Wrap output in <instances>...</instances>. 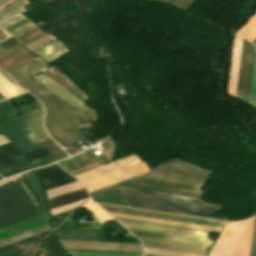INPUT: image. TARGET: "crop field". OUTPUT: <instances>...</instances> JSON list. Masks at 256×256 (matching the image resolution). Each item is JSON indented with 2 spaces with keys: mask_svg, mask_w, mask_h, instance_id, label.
Returning <instances> with one entry per match:
<instances>
[{
  "mask_svg": "<svg viewBox=\"0 0 256 256\" xmlns=\"http://www.w3.org/2000/svg\"><path fill=\"white\" fill-rule=\"evenodd\" d=\"M93 202L90 200L83 207H85L88 211H90L99 222H105L112 220L110 216H108L102 209L98 206L92 204Z\"/></svg>",
  "mask_w": 256,
  "mask_h": 256,
  "instance_id": "obj_27",
  "label": "crop field"
},
{
  "mask_svg": "<svg viewBox=\"0 0 256 256\" xmlns=\"http://www.w3.org/2000/svg\"><path fill=\"white\" fill-rule=\"evenodd\" d=\"M105 211L223 228L225 223L97 204Z\"/></svg>",
  "mask_w": 256,
  "mask_h": 256,
  "instance_id": "obj_7",
  "label": "crop field"
},
{
  "mask_svg": "<svg viewBox=\"0 0 256 256\" xmlns=\"http://www.w3.org/2000/svg\"><path fill=\"white\" fill-rule=\"evenodd\" d=\"M48 232H49V231L44 232V233L39 234V235H36V236H33V237H30V238H28V239H25V240L16 242V243H14V244H11V245L2 247V248H0V253L3 252V251H6V250L12 249V248H14V247L23 245V244H25V243H28V242L37 240V239H39V238H42V237H44Z\"/></svg>",
  "mask_w": 256,
  "mask_h": 256,
  "instance_id": "obj_32",
  "label": "crop field"
},
{
  "mask_svg": "<svg viewBox=\"0 0 256 256\" xmlns=\"http://www.w3.org/2000/svg\"><path fill=\"white\" fill-rule=\"evenodd\" d=\"M117 221L121 225H123L125 228H133V229L161 232V233L188 236V237H195V238H201V239L209 240L207 238L208 234H205V233L185 231V230L172 229V228H165V227L152 226V225H145V224L132 223V222H125V221H119V220H117Z\"/></svg>",
  "mask_w": 256,
  "mask_h": 256,
  "instance_id": "obj_12",
  "label": "crop field"
},
{
  "mask_svg": "<svg viewBox=\"0 0 256 256\" xmlns=\"http://www.w3.org/2000/svg\"><path fill=\"white\" fill-rule=\"evenodd\" d=\"M12 0H0V7L8 2H10Z\"/></svg>",
  "mask_w": 256,
  "mask_h": 256,
  "instance_id": "obj_41",
  "label": "crop field"
},
{
  "mask_svg": "<svg viewBox=\"0 0 256 256\" xmlns=\"http://www.w3.org/2000/svg\"><path fill=\"white\" fill-rule=\"evenodd\" d=\"M144 256H155V255H148V254H145Z\"/></svg>",
  "mask_w": 256,
  "mask_h": 256,
  "instance_id": "obj_43",
  "label": "crop field"
},
{
  "mask_svg": "<svg viewBox=\"0 0 256 256\" xmlns=\"http://www.w3.org/2000/svg\"><path fill=\"white\" fill-rule=\"evenodd\" d=\"M149 166L136 155L75 176L89 192L147 173Z\"/></svg>",
  "mask_w": 256,
  "mask_h": 256,
  "instance_id": "obj_4",
  "label": "crop field"
},
{
  "mask_svg": "<svg viewBox=\"0 0 256 256\" xmlns=\"http://www.w3.org/2000/svg\"><path fill=\"white\" fill-rule=\"evenodd\" d=\"M107 213L110 214L112 217L124 218V219H130V220H137V221H144V222H151V223H158V224H166V225H173V226H180V227H187V228L215 231V232H219L221 230L219 228H212V227L198 226V225H192V224H185V223H178V222H171V221H164V220L136 217V216L116 214V213H109V212H107Z\"/></svg>",
  "mask_w": 256,
  "mask_h": 256,
  "instance_id": "obj_16",
  "label": "crop field"
},
{
  "mask_svg": "<svg viewBox=\"0 0 256 256\" xmlns=\"http://www.w3.org/2000/svg\"><path fill=\"white\" fill-rule=\"evenodd\" d=\"M83 188L84 187L80 183L76 182V183L69 184V185H66L63 187H59V188H56L53 190H49V191H46L47 199L53 198V197H56L59 195H63V194L69 193V192H73V191H76L79 189H83Z\"/></svg>",
  "mask_w": 256,
  "mask_h": 256,
  "instance_id": "obj_24",
  "label": "crop field"
},
{
  "mask_svg": "<svg viewBox=\"0 0 256 256\" xmlns=\"http://www.w3.org/2000/svg\"><path fill=\"white\" fill-rule=\"evenodd\" d=\"M254 216H256V213L254 214ZM253 217V216H252Z\"/></svg>",
  "mask_w": 256,
  "mask_h": 256,
  "instance_id": "obj_45",
  "label": "crop field"
},
{
  "mask_svg": "<svg viewBox=\"0 0 256 256\" xmlns=\"http://www.w3.org/2000/svg\"><path fill=\"white\" fill-rule=\"evenodd\" d=\"M241 41H242V37L237 34L235 37V42H234L230 76H229L228 89H227V93L232 96H234V94H235V86H236V79H237L240 49H241Z\"/></svg>",
  "mask_w": 256,
  "mask_h": 256,
  "instance_id": "obj_13",
  "label": "crop field"
},
{
  "mask_svg": "<svg viewBox=\"0 0 256 256\" xmlns=\"http://www.w3.org/2000/svg\"><path fill=\"white\" fill-rule=\"evenodd\" d=\"M43 112L42 108L0 123V129L21 154L54 143L44 131Z\"/></svg>",
  "mask_w": 256,
  "mask_h": 256,
  "instance_id": "obj_2",
  "label": "crop field"
},
{
  "mask_svg": "<svg viewBox=\"0 0 256 256\" xmlns=\"http://www.w3.org/2000/svg\"><path fill=\"white\" fill-rule=\"evenodd\" d=\"M47 230H50L49 225L41 227V228L33 230V231H30V232H27L25 234H22V235H19V236H16V237H13L11 239L2 241V242H0V247L11 244V243H14L16 241H19V240H22V239H25V238H28V237L36 235V234L42 233V232L47 231Z\"/></svg>",
  "mask_w": 256,
  "mask_h": 256,
  "instance_id": "obj_28",
  "label": "crop field"
},
{
  "mask_svg": "<svg viewBox=\"0 0 256 256\" xmlns=\"http://www.w3.org/2000/svg\"><path fill=\"white\" fill-rule=\"evenodd\" d=\"M6 143H9V141L6 139V137L3 134H1L0 135V145L6 144Z\"/></svg>",
  "mask_w": 256,
  "mask_h": 256,
  "instance_id": "obj_39",
  "label": "crop field"
},
{
  "mask_svg": "<svg viewBox=\"0 0 256 256\" xmlns=\"http://www.w3.org/2000/svg\"><path fill=\"white\" fill-rule=\"evenodd\" d=\"M249 104L256 107V58H255V65H254V72H253Z\"/></svg>",
  "mask_w": 256,
  "mask_h": 256,
  "instance_id": "obj_33",
  "label": "crop field"
},
{
  "mask_svg": "<svg viewBox=\"0 0 256 256\" xmlns=\"http://www.w3.org/2000/svg\"><path fill=\"white\" fill-rule=\"evenodd\" d=\"M67 51L69 50L65 46H63L58 40H56L33 51V53L49 63L57 59Z\"/></svg>",
  "mask_w": 256,
  "mask_h": 256,
  "instance_id": "obj_14",
  "label": "crop field"
},
{
  "mask_svg": "<svg viewBox=\"0 0 256 256\" xmlns=\"http://www.w3.org/2000/svg\"><path fill=\"white\" fill-rule=\"evenodd\" d=\"M125 237L134 238V237H133L132 235H130L129 233H128Z\"/></svg>",
  "mask_w": 256,
  "mask_h": 256,
  "instance_id": "obj_42",
  "label": "crop field"
},
{
  "mask_svg": "<svg viewBox=\"0 0 256 256\" xmlns=\"http://www.w3.org/2000/svg\"><path fill=\"white\" fill-rule=\"evenodd\" d=\"M38 214L39 204L23 180L0 188V228Z\"/></svg>",
  "mask_w": 256,
  "mask_h": 256,
  "instance_id": "obj_3",
  "label": "crop field"
},
{
  "mask_svg": "<svg viewBox=\"0 0 256 256\" xmlns=\"http://www.w3.org/2000/svg\"><path fill=\"white\" fill-rule=\"evenodd\" d=\"M28 4L27 0H19L18 2L8 6L0 12V24L26 12L23 6Z\"/></svg>",
  "mask_w": 256,
  "mask_h": 256,
  "instance_id": "obj_20",
  "label": "crop field"
},
{
  "mask_svg": "<svg viewBox=\"0 0 256 256\" xmlns=\"http://www.w3.org/2000/svg\"><path fill=\"white\" fill-rule=\"evenodd\" d=\"M25 91L0 73V94L6 99L23 94Z\"/></svg>",
  "mask_w": 256,
  "mask_h": 256,
  "instance_id": "obj_21",
  "label": "crop field"
},
{
  "mask_svg": "<svg viewBox=\"0 0 256 256\" xmlns=\"http://www.w3.org/2000/svg\"><path fill=\"white\" fill-rule=\"evenodd\" d=\"M39 240L25 244L23 246L14 248L6 252H3L0 254V256H26L36 246Z\"/></svg>",
  "mask_w": 256,
  "mask_h": 256,
  "instance_id": "obj_26",
  "label": "crop field"
},
{
  "mask_svg": "<svg viewBox=\"0 0 256 256\" xmlns=\"http://www.w3.org/2000/svg\"><path fill=\"white\" fill-rule=\"evenodd\" d=\"M129 231L134 235H138V236L173 240V241H179V242H186V243H193V244H200V245H207V246H210L212 243V241H204V240L191 239V238H185V237H178V236H171V235H164V234H157V233H150V232H143V231H136V230H129Z\"/></svg>",
  "mask_w": 256,
  "mask_h": 256,
  "instance_id": "obj_18",
  "label": "crop field"
},
{
  "mask_svg": "<svg viewBox=\"0 0 256 256\" xmlns=\"http://www.w3.org/2000/svg\"><path fill=\"white\" fill-rule=\"evenodd\" d=\"M33 78L37 80L40 84H42L50 92L55 94L60 99L69 103L71 106L76 108L81 113L86 109V107L81 102H79L75 97H73L70 93H68L66 90L60 87L53 80L42 75H38Z\"/></svg>",
  "mask_w": 256,
  "mask_h": 256,
  "instance_id": "obj_11",
  "label": "crop field"
},
{
  "mask_svg": "<svg viewBox=\"0 0 256 256\" xmlns=\"http://www.w3.org/2000/svg\"><path fill=\"white\" fill-rule=\"evenodd\" d=\"M54 40H56V39L53 38L52 36H50L49 34H47L46 36H44V37H42V38H40V39H38V40H36V41L26 45V47L32 51V50H34V49H36V48H38L40 46H43V45H45L47 43L52 42Z\"/></svg>",
  "mask_w": 256,
  "mask_h": 256,
  "instance_id": "obj_31",
  "label": "crop field"
},
{
  "mask_svg": "<svg viewBox=\"0 0 256 256\" xmlns=\"http://www.w3.org/2000/svg\"><path fill=\"white\" fill-rule=\"evenodd\" d=\"M26 170H29V167L27 166L21 155L0 162V174L3 177H7Z\"/></svg>",
  "mask_w": 256,
  "mask_h": 256,
  "instance_id": "obj_17",
  "label": "crop field"
},
{
  "mask_svg": "<svg viewBox=\"0 0 256 256\" xmlns=\"http://www.w3.org/2000/svg\"><path fill=\"white\" fill-rule=\"evenodd\" d=\"M38 251L43 256H65V252L62 248L58 245L53 233L47 236L39 247L32 252L29 256H37Z\"/></svg>",
  "mask_w": 256,
  "mask_h": 256,
  "instance_id": "obj_15",
  "label": "crop field"
},
{
  "mask_svg": "<svg viewBox=\"0 0 256 256\" xmlns=\"http://www.w3.org/2000/svg\"><path fill=\"white\" fill-rule=\"evenodd\" d=\"M19 155L18 150L11 144L0 146V161Z\"/></svg>",
  "mask_w": 256,
  "mask_h": 256,
  "instance_id": "obj_29",
  "label": "crop field"
},
{
  "mask_svg": "<svg viewBox=\"0 0 256 256\" xmlns=\"http://www.w3.org/2000/svg\"><path fill=\"white\" fill-rule=\"evenodd\" d=\"M256 47L242 41L240 64L235 97L248 103Z\"/></svg>",
  "mask_w": 256,
  "mask_h": 256,
  "instance_id": "obj_6",
  "label": "crop field"
},
{
  "mask_svg": "<svg viewBox=\"0 0 256 256\" xmlns=\"http://www.w3.org/2000/svg\"><path fill=\"white\" fill-rule=\"evenodd\" d=\"M129 206L134 208L229 221L209 216L223 208L202 199L120 187Z\"/></svg>",
  "mask_w": 256,
  "mask_h": 256,
  "instance_id": "obj_1",
  "label": "crop field"
},
{
  "mask_svg": "<svg viewBox=\"0 0 256 256\" xmlns=\"http://www.w3.org/2000/svg\"><path fill=\"white\" fill-rule=\"evenodd\" d=\"M56 232L59 240L98 242L99 226L92 225L74 230L67 218Z\"/></svg>",
  "mask_w": 256,
  "mask_h": 256,
  "instance_id": "obj_8",
  "label": "crop field"
},
{
  "mask_svg": "<svg viewBox=\"0 0 256 256\" xmlns=\"http://www.w3.org/2000/svg\"><path fill=\"white\" fill-rule=\"evenodd\" d=\"M252 43H254L256 45V39Z\"/></svg>",
  "mask_w": 256,
  "mask_h": 256,
  "instance_id": "obj_44",
  "label": "crop field"
},
{
  "mask_svg": "<svg viewBox=\"0 0 256 256\" xmlns=\"http://www.w3.org/2000/svg\"><path fill=\"white\" fill-rule=\"evenodd\" d=\"M30 21L31 20H29V19H25V20H23V21H21V22H19L17 24L11 25V26H9V27H7L5 29L10 32V31H12V30H14V29H16V28H18V27H20V26H22V25H24V24H26L28 22H30Z\"/></svg>",
  "mask_w": 256,
  "mask_h": 256,
  "instance_id": "obj_36",
  "label": "crop field"
},
{
  "mask_svg": "<svg viewBox=\"0 0 256 256\" xmlns=\"http://www.w3.org/2000/svg\"><path fill=\"white\" fill-rule=\"evenodd\" d=\"M73 210L71 211H67V212H64V213H61V214H57V215H54L56 217H62V218H65L69 213H71Z\"/></svg>",
  "mask_w": 256,
  "mask_h": 256,
  "instance_id": "obj_40",
  "label": "crop field"
},
{
  "mask_svg": "<svg viewBox=\"0 0 256 256\" xmlns=\"http://www.w3.org/2000/svg\"><path fill=\"white\" fill-rule=\"evenodd\" d=\"M254 219L227 223L209 256H249Z\"/></svg>",
  "mask_w": 256,
  "mask_h": 256,
  "instance_id": "obj_5",
  "label": "crop field"
},
{
  "mask_svg": "<svg viewBox=\"0 0 256 256\" xmlns=\"http://www.w3.org/2000/svg\"><path fill=\"white\" fill-rule=\"evenodd\" d=\"M136 237L141 240L144 246L189 252V253H195V254H202V255H205L204 248L207 247V246L172 242V241L138 237V236Z\"/></svg>",
  "mask_w": 256,
  "mask_h": 256,
  "instance_id": "obj_10",
  "label": "crop field"
},
{
  "mask_svg": "<svg viewBox=\"0 0 256 256\" xmlns=\"http://www.w3.org/2000/svg\"><path fill=\"white\" fill-rule=\"evenodd\" d=\"M89 199V198H88ZM87 200V199H85ZM85 200H81V201H78V202H75V203H72V204H68V205H65V206H62V207H59V208H55V209H52V214H57V213H61V212H64V211H67V210H71V209H74L76 208L80 203L84 202Z\"/></svg>",
  "mask_w": 256,
  "mask_h": 256,
  "instance_id": "obj_34",
  "label": "crop field"
},
{
  "mask_svg": "<svg viewBox=\"0 0 256 256\" xmlns=\"http://www.w3.org/2000/svg\"><path fill=\"white\" fill-rule=\"evenodd\" d=\"M145 253L162 255V256H197V255L172 252V251H166V250H160V249H154V248H148V247H145Z\"/></svg>",
  "mask_w": 256,
  "mask_h": 256,
  "instance_id": "obj_30",
  "label": "crop field"
},
{
  "mask_svg": "<svg viewBox=\"0 0 256 256\" xmlns=\"http://www.w3.org/2000/svg\"><path fill=\"white\" fill-rule=\"evenodd\" d=\"M88 193L85 189L79 190L73 193H69L63 196H59L53 199H49L50 208L59 207L68 203H72L81 199L88 198Z\"/></svg>",
  "mask_w": 256,
  "mask_h": 256,
  "instance_id": "obj_19",
  "label": "crop field"
},
{
  "mask_svg": "<svg viewBox=\"0 0 256 256\" xmlns=\"http://www.w3.org/2000/svg\"><path fill=\"white\" fill-rule=\"evenodd\" d=\"M22 176L26 179V181L29 183V185L32 187V189L37 194L38 199H39L40 204H41V208H42V212H43L44 217L45 216H46L45 218L49 217L48 213H47L45 203H44V200H43L42 195H41V191H42L41 186L38 184V182L35 180V178L31 175L30 172L22 174Z\"/></svg>",
  "mask_w": 256,
  "mask_h": 256,
  "instance_id": "obj_23",
  "label": "crop field"
},
{
  "mask_svg": "<svg viewBox=\"0 0 256 256\" xmlns=\"http://www.w3.org/2000/svg\"><path fill=\"white\" fill-rule=\"evenodd\" d=\"M119 220H123V219H119ZM125 221H130V220H125ZM132 222H137V221H132ZM139 223H144V222H139ZM145 224H151V223H145ZM152 225H158V224H152ZM159 226H164V225H159ZM165 227H171V226H165ZM172 228H178V227H172ZM179 229H185V228H179ZM185 230H192V229H185ZM192 231H198V230H192ZM199 232H205V231H199ZM205 233H208V232H205Z\"/></svg>",
  "mask_w": 256,
  "mask_h": 256,
  "instance_id": "obj_37",
  "label": "crop field"
},
{
  "mask_svg": "<svg viewBox=\"0 0 256 256\" xmlns=\"http://www.w3.org/2000/svg\"><path fill=\"white\" fill-rule=\"evenodd\" d=\"M59 151H62V149L56 143H54L46 147L23 154V157L26 159L27 162H29Z\"/></svg>",
  "mask_w": 256,
  "mask_h": 256,
  "instance_id": "obj_22",
  "label": "crop field"
},
{
  "mask_svg": "<svg viewBox=\"0 0 256 256\" xmlns=\"http://www.w3.org/2000/svg\"><path fill=\"white\" fill-rule=\"evenodd\" d=\"M34 172L39 177L46 189L76 182L73 177L64 172L55 164L42 169H37Z\"/></svg>",
  "mask_w": 256,
  "mask_h": 256,
  "instance_id": "obj_9",
  "label": "crop field"
},
{
  "mask_svg": "<svg viewBox=\"0 0 256 256\" xmlns=\"http://www.w3.org/2000/svg\"><path fill=\"white\" fill-rule=\"evenodd\" d=\"M238 33L251 42L256 38V14L238 31Z\"/></svg>",
  "mask_w": 256,
  "mask_h": 256,
  "instance_id": "obj_25",
  "label": "crop field"
},
{
  "mask_svg": "<svg viewBox=\"0 0 256 256\" xmlns=\"http://www.w3.org/2000/svg\"><path fill=\"white\" fill-rule=\"evenodd\" d=\"M34 27H36V25L31 22V23H29V24H27V25H25V26H23V27H21V28L15 30V31L11 32V34L16 37V36H18V35H20V34L26 32V31H28V30L34 28Z\"/></svg>",
  "mask_w": 256,
  "mask_h": 256,
  "instance_id": "obj_35",
  "label": "crop field"
},
{
  "mask_svg": "<svg viewBox=\"0 0 256 256\" xmlns=\"http://www.w3.org/2000/svg\"><path fill=\"white\" fill-rule=\"evenodd\" d=\"M19 178H22V176L19 175V176H15V177H12V178H10V179H7V180H5V181H3V182H0V185H3V184H5V183H8V182H11V181H14V180H17V179H19Z\"/></svg>",
  "mask_w": 256,
  "mask_h": 256,
  "instance_id": "obj_38",
  "label": "crop field"
},
{
  "mask_svg": "<svg viewBox=\"0 0 256 256\" xmlns=\"http://www.w3.org/2000/svg\"><path fill=\"white\" fill-rule=\"evenodd\" d=\"M0 179H1V177H0Z\"/></svg>",
  "mask_w": 256,
  "mask_h": 256,
  "instance_id": "obj_46",
  "label": "crop field"
}]
</instances>
